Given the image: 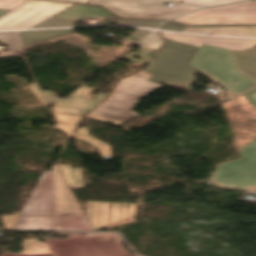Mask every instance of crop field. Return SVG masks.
Instances as JSON below:
<instances>
[{"instance_id": "crop-field-16", "label": "crop field", "mask_w": 256, "mask_h": 256, "mask_svg": "<svg viewBox=\"0 0 256 256\" xmlns=\"http://www.w3.org/2000/svg\"><path fill=\"white\" fill-rule=\"evenodd\" d=\"M215 82L224 86L235 95L256 86V82L240 74L236 69H233Z\"/></svg>"}, {"instance_id": "crop-field-10", "label": "crop field", "mask_w": 256, "mask_h": 256, "mask_svg": "<svg viewBox=\"0 0 256 256\" xmlns=\"http://www.w3.org/2000/svg\"><path fill=\"white\" fill-rule=\"evenodd\" d=\"M14 230L92 231L84 214H73L67 217L19 218Z\"/></svg>"}, {"instance_id": "crop-field-20", "label": "crop field", "mask_w": 256, "mask_h": 256, "mask_svg": "<svg viewBox=\"0 0 256 256\" xmlns=\"http://www.w3.org/2000/svg\"><path fill=\"white\" fill-rule=\"evenodd\" d=\"M0 42L8 45L10 52L0 53V57L25 55L18 32L0 33Z\"/></svg>"}, {"instance_id": "crop-field-24", "label": "crop field", "mask_w": 256, "mask_h": 256, "mask_svg": "<svg viewBox=\"0 0 256 256\" xmlns=\"http://www.w3.org/2000/svg\"><path fill=\"white\" fill-rule=\"evenodd\" d=\"M31 91L35 93L42 105H51L53 102L58 101L53 91H42L36 84L30 87ZM51 100L52 102H50Z\"/></svg>"}, {"instance_id": "crop-field-5", "label": "crop field", "mask_w": 256, "mask_h": 256, "mask_svg": "<svg viewBox=\"0 0 256 256\" xmlns=\"http://www.w3.org/2000/svg\"><path fill=\"white\" fill-rule=\"evenodd\" d=\"M172 21L185 25L256 24V2L208 8Z\"/></svg>"}, {"instance_id": "crop-field-30", "label": "crop field", "mask_w": 256, "mask_h": 256, "mask_svg": "<svg viewBox=\"0 0 256 256\" xmlns=\"http://www.w3.org/2000/svg\"><path fill=\"white\" fill-rule=\"evenodd\" d=\"M24 1L26 0H0V8L12 10L13 7L23 3Z\"/></svg>"}, {"instance_id": "crop-field-31", "label": "crop field", "mask_w": 256, "mask_h": 256, "mask_svg": "<svg viewBox=\"0 0 256 256\" xmlns=\"http://www.w3.org/2000/svg\"><path fill=\"white\" fill-rule=\"evenodd\" d=\"M76 127L77 126H74V125H67V124L57 123V128H59L60 130L66 132L70 136H73Z\"/></svg>"}, {"instance_id": "crop-field-34", "label": "crop field", "mask_w": 256, "mask_h": 256, "mask_svg": "<svg viewBox=\"0 0 256 256\" xmlns=\"http://www.w3.org/2000/svg\"><path fill=\"white\" fill-rule=\"evenodd\" d=\"M59 1L87 4L89 0H59Z\"/></svg>"}, {"instance_id": "crop-field-21", "label": "crop field", "mask_w": 256, "mask_h": 256, "mask_svg": "<svg viewBox=\"0 0 256 256\" xmlns=\"http://www.w3.org/2000/svg\"><path fill=\"white\" fill-rule=\"evenodd\" d=\"M75 138L96 147L102 158H110L109 145L89 136L87 127L77 128Z\"/></svg>"}, {"instance_id": "crop-field-26", "label": "crop field", "mask_w": 256, "mask_h": 256, "mask_svg": "<svg viewBox=\"0 0 256 256\" xmlns=\"http://www.w3.org/2000/svg\"><path fill=\"white\" fill-rule=\"evenodd\" d=\"M155 52L156 51L154 50L139 48V50L136 52L134 56L141 58V60L132 59V57L134 56L132 57L124 56L123 59L128 60L130 62H134V63L144 64L155 54Z\"/></svg>"}, {"instance_id": "crop-field-8", "label": "crop field", "mask_w": 256, "mask_h": 256, "mask_svg": "<svg viewBox=\"0 0 256 256\" xmlns=\"http://www.w3.org/2000/svg\"><path fill=\"white\" fill-rule=\"evenodd\" d=\"M166 2L148 0H91L89 4L100 5L122 18H138L144 15L171 10L170 6L162 5ZM195 10L198 6L177 4L174 9Z\"/></svg>"}, {"instance_id": "crop-field-27", "label": "crop field", "mask_w": 256, "mask_h": 256, "mask_svg": "<svg viewBox=\"0 0 256 256\" xmlns=\"http://www.w3.org/2000/svg\"><path fill=\"white\" fill-rule=\"evenodd\" d=\"M186 12H189L187 10H172V11H166V12H162V13H157V14H153V15H148V16H144L142 17L143 19H170L173 18L175 16H179L182 15Z\"/></svg>"}, {"instance_id": "crop-field-35", "label": "crop field", "mask_w": 256, "mask_h": 256, "mask_svg": "<svg viewBox=\"0 0 256 256\" xmlns=\"http://www.w3.org/2000/svg\"><path fill=\"white\" fill-rule=\"evenodd\" d=\"M91 18L106 19V18H101V17H95V16L87 15V16L83 17V18H82V19H80V20L91 19Z\"/></svg>"}, {"instance_id": "crop-field-25", "label": "crop field", "mask_w": 256, "mask_h": 256, "mask_svg": "<svg viewBox=\"0 0 256 256\" xmlns=\"http://www.w3.org/2000/svg\"><path fill=\"white\" fill-rule=\"evenodd\" d=\"M151 42H155V44H153ZM138 44H140V45H138ZM138 44L135 46H138V47L146 46L143 48L158 50L160 48V46L162 45V39H161L160 35L158 34V32L152 31L148 36L143 38L142 41L139 42Z\"/></svg>"}, {"instance_id": "crop-field-3", "label": "crop field", "mask_w": 256, "mask_h": 256, "mask_svg": "<svg viewBox=\"0 0 256 256\" xmlns=\"http://www.w3.org/2000/svg\"><path fill=\"white\" fill-rule=\"evenodd\" d=\"M114 237V242L94 238ZM55 256H127L116 233H68V239H46Z\"/></svg>"}, {"instance_id": "crop-field-17", "label": "crop field", "mask_w": 256, "mask_h": 256, "mask_svg": "<svg viewBox=\"0 0 256 256\" xmlns=\"http://www.w3.org/2000/svg\"><path fill=\"white\" fill-rule=\"evenodd\" d=\"M231 52L237 71L256 81V48L245 52Z\"/></svg>"}, {"instance_id": "crop-field-22", "label": "crop field", "mask_w": 256, "mask_h": 256, "mask_svg": "<svg viewBox=\"0 0 256 256\" xmlns=\"http://www.w3.org/2000/svg\"><path fill=\"white\" fill-rule=\"evenodd\" d=\"M70 189L84 187L80 168H71V165H59Z\"/></svg>"}, {"instance_id": "crop-field-6", "label": "crop field", "mask_w": 256, "mask_h": 256, "mask_svg": "<svg viewBox=\"0 0 256 256\" xmlns=\"http://www.w3.org/2000/svg\"><path fill=\"white\" fill-rule=\"evenodd\" d=\"M73 5L55 1L30 0L0 19V30L29 28Z\"/></svg>"}, {"instance_id": "crop-field-33", "label": "crop field", "mask_w": 256, "mask_h": 256, "mask_svg": "<svg viewBox=\"0 0 256 256\" xmlns=\"http://www.w3.org/2000/svg\"><path fill=\"white\" fill-rule=\"evenodd\" d=\"M147 32V30H138L135 33H133L129 38L137 39L139 40L142 36H144Z\"/></svg>"}, {"instance_id": "crop-field-9", "label": "crop field", "mask_w": 256, "mask_h": 256, "mask_svg": "<svg viewBox=\"0 0 256 256\" xmlns=\"http://www.w3.org/2000/svg\"><path fill=\"white\" fill-rule=\"evenodd\" d=\"M89 91H91V89L80 86L71 95H69V99L59 100L52 107L56 121L61 123L77 124L82 114L97 105L107 96L105 93H103L102 96H92L87 94ZM90 97H96V99L92 100ZM59 113L73 114L78 116L64 115Z\"/></svg>"}, {"instance_id": "crop-field-36", "label": "crop field", "mask_w": 256, "mask_h": 256, "mask_svg": "<svg viewBox=\"0 0 256 256\" xmlns=\"http://www.w3.org/2000/svg\"><path fill=\"white\" fill-rule=\"evenodd\" d=\"M10 10H2L0 9V17L4 14H6L7 12H9Z\"/></svg>"}, {"instance_id": "crop-field-23", "label": "crop field", "mask_w": 256, "mask_h": 256, "mask_svg": "<svg viewBox=\"0 0 256 256\" xmlns=\"http://www.w3.org/2000/svg\"><path fill=\"white\" fill-rule=\"evenodd\" d=\"M79 21L51 17L48 20L42 22L41 24L33 27V28H53V27H67L72 26Z\"/></svg>"}, {"instance_id": "crop-field-29", "label": "crop field", "mask_w": 256, "mask_h": 256, "mask_svg": "<svg viewBox=\"0 0 256 256\" xmlns=\"http://www.w3.org/2000/svg\"><path fill=\"white\" fill-rule=\"evenodd\" d=\"M237 1H243V0H184L183 2L188 4L212 6V5L225 4V3L237 2Z\"/></svg>"}, {"instance_id": "crop-field-19", "label": "crop field", "mask_w": 256, "mask_h": 256, "mask_svg": "<svg viewBox=\"0 0 256 256\" xmlns=\"http://www.w3.org/2000/svg\"><path fill=\"white\" fill-rule=\"evenodd\" d=\"M36 242L37 245L32 244ZM24 251L21 254L2 253L1 256H54L45 243L35 239H28L22 245Z\"/></svg>"}, {"instance_id": "crop-field-2", "label": "crop field", "mask_w": 256, "mask_h": 256, "mask_svg": "<svg viewBox=\"0 0 256 256\" xmlns=\"http://www.w3.org/2000/svg\"><path fill=\"white\" fill-rule=\"evenodd\" d=\"M150 77V74L139 71L130 77L120 80L112 91L111 96L90 114L121 122L139 116L129 110L144 96L163 87L146 81Z\"/></svg>"}, {"instance_id": "crop-field-11", "label": "crop field", "mask_w": 256, "mask_h": 256, "mask_svg": "<svg viewBox=\"0 0 256 256\" xmlns=\"http://www.w3.org/2000/svg\"><path fill=\"white\" fill-rule=\"evenodd\" d=\"M87 215L96 229L135 215V204L88 201Z\"/></svg>"}, {"instance_id": "crop-field-4", "label": "crop field", "mask_w": 256, "mask_h": 256, "mask_svg": "<svg viewBox=\"0 0 256 256\" xmlns=\"http://www.w3.org/2000/svg\"><path fill=\"white\" fill-rule=\"evenodd\" d=\"M256 108V89L244 94ZM241 159L219 164L211 182L222 187L251 188L256 186V138L239 151Z\"/></svg>"}, {"instance_id": "crop-field-18", "label": "crop field", "mask_w": 256, "mask_h": 256, "mask_svg": "<svg viewBox=\"0 0 256 256\" xmlns=\"http://www.w3.org/2000/svg\"><path fill=\"white\" fill-rule=\"evenodd\" d=\"M73 29L49 30V31H28L19 32L23 45H29L35 42L67 34Z\"/></svg>"}, {"instance_id": "crop-field-28", "label": "crop field", "mask_w": 256, "mask_h": 256, "mask_svg": "<svg viewBox=\"0 0 256 256\" xmlns=\"http://www.w3.org/2000/svg\"><path fill=\"white\" fill-rule=\"evenodd\" d=\"M160 21H141V20H119L120 25H133L140 27H151L156 28Z\"/></svg>"}, {"instance_id": "crop-field-1", "label": "crop field", "mask_w": 256, "mask_h": 256, "mask_svg": "<svg viewBox=\"0 0 256 256\" xmlns=\"http://www.w3.org/2000/svg\"><path fill=\"white\" fill-rule=\"evenodd\" d=\"M198 47L165 39V46L148 64L145 70L153 76L148 81L190 90L196 83L194 74L197 70L187 65Z\"/></svg>"}, {"instance_id": "crop-field-14", "label": "crop field", "mask_w": 256, "mask_h": 256, "mask_svg": "<svg viewBox=\"0 0 256 256\" xmlns=\"http://www.w3.org/2000/svg\"><path fill=\"white\" fill-rule=\"evenodd\" d=\"M160 33L162 34L163 38L195 45L198 47H200L202 43H205V44L224 47V48L233 49L237 51H244L256 45V40L198 37V36H187V35H179V34H166L163 32H160Z\"/></svg>"}, {"instance_id": "crop-field-12", "label": "crop field", "mask_w": 256, "mask_h": 256, "mask_svg": "<svg viewBox=\"0 0 256 256\" xmlns=\"http://www.w3.org/2000/svg\"><path fill=\"white\" fill-rule=\"evenodd\" d=\"M53 215L52 171L42 176L18 216Z\"/></svg>"}, {"instance_id": "crop-field-37", "label": "crop field", "mask_w": 256, "mask_h": 256, "mask_svg": "<svg viewBox=\"0 0 256 256\" xmlns=\"http://www.w3.org/2000/svg\"><path fill=\"white\" fill-rule=\"evenodd\" d=\"M131 256H136V255H131Z\"/></svg>"}, {"instance_id": "crop-field-15", "label": "crop field", "mask_w": 256, "mask_h": 256, "mask_svg": "<svg viewBox=\"0 0 256 256\" xmlns=\"http://www.w3.org/2000/svg\"><path fill=\"white\" fill-rule=\"evenodd\" d=\"M184 32L229 36H256V26L236 27H186Z\"/></svg>"}, {"instance_id": "crop-field-32", "label": "crop field", "mask_w": 256, "mask_h": 256, "mask_svg": "<svg viewBox=\"0 0 256 256\" xmlns=\"http://www.w3.org/2000/svg\"><path fill=\"white\" fill-rule=\"evenodd\" d=\"M162 29L183 32V30L185 29V26H182V25H179L176 23H174V24L167 23L163 26Z\"/></svg>"}, {"instance_id": "crop-field-7", "label": "crop field", "mask_w": 256, "mask_h": 256, "mask_svg": "<svg viewBox=\"0 0 256 256\" xmlns=\"http://www.w3.org/2000/svg\"><path fill=\"white\" fill-rule=\"evenodd\" d=\"M189 65L213 81L235 68L230 50L205 44L198 49Z\"/></svg>"}, {"instance_id": "crop-field-13", "label": "crop field", "mask_w": 256, "mask_h": 256, "mask_svg": "<svg viewBox=\"0 0 256 256\" xmlns=\"http://www.w3.org/2000/svg\"><path fill=\"white\" fill-rule=\"evenodd\" d=\"M53 187L54 216L82 213L56 165H53Z\"/></svg>"}]
</instances>
